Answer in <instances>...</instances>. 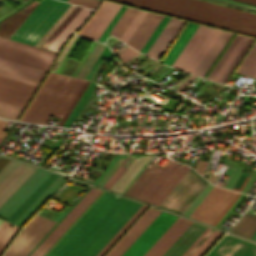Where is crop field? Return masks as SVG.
<instances>
[{
	"instance_id": "1",
	"label": "crop field",
	"mask_w": 256,
	"mask_h": 256,
	"mask_svg": "<svg viewBox=\"0 0 256 256\" xmlns=\"http://www.w3.org/2000/svg\"><path fill=\"white\" fill-rule=\"evenodd\" d=\"M124 200L104 192L46 256H74ZM140 206L126 199L75 256H96Z\"/></svg>"
},
{
	"instance_id": "2",
	"label": "crop field",
	"mask_w": 256,
	"mask_h": 256,
	"mask_svg": "<svg viewBox=\"0 0 256 256\" xmlns=\"http://www.w3.org/2000/svg\"><path fill=\"white\" fill-rule=\"evenodd\" d=\"M256 37V14L202 0H113Z\"/></svg>"
},
{
	"instance_id": "3",
	"label": "crop field",
	"mask_w": 256,
	"mask_h": 256,
	"mask_svg": "<svg viewBox=\"0 0 256 256\" xmlns=\"http://www.w3.org/2000/svg\"><path fill=\"white\" fill-rule=\"evenodd\" d=\"M84 80L49 72L21 121L45 124L49 115L62 117Z\"/></svg>"
},
{
	"instance_id": "4",
	"label": "crop field",
	"mask_w": 256,
	"mask_h": 256,
	"mask_svg": "<svg viewBox=\"0 0 256 256\" xmlns=\"http://www.w3.org/2000/svg\"><path fill=\"white\" fill-rule=\"evenodd\" d=\"M68 6L56 0H42L10 39L35 45Z\"/></svg>"
},
{
	"instance_id": "5",
	"label": "crop field",
	"mask_w": 256,
	"mask_h": 256,
	"mask_svg": "<svg viewBox=\"0 0 256 256\" xmlns=\"http://www.w3.org/2000/svg\"><path fill=\"white\" fill-rule=\"evenodd\" d=\"M221 30L199 25L172 67L193 73Z\"/></svg>"
},
{
	"instance_id": "6",
	"label": "crop field",
	"mask_w": 256,
	"mask_h": 256,
	"mask_svg": "<svg viewBox=\"0 0 256 256\" xmlns=\"http://www.w3.org/2000/svg\"><path fill=\"white\" fill-rule=\"evenodd\" d=\"M56 53L0 37V58L48 71Z\"/></svg>"
},
{
	"instance_id": "7",
	"label": "crop field",
	"mask_w": 256,
	"mask_h": 256,
	"mask_svg": "<svg viewBox=\"0 0 256 256\" xmlns=\"http://www.w3.org/2000/svg\"><path fill=\"white\" fill-rule=\"evenodd\" d=\"M207 183L190 168L160 206L182 214Z\"/></svg>"
},
{
	"instance_id": "8",
	"label": "crop field",
	"mask_w": 256,
	"mask_h": 256,
	"mask_svg": "<svg viewBox=\"0 0 256 256\" xmlns=\"http://www.w3.org/2000/svg\"><path fill=\"white\" fill-rule=\"evenodd\" d=\"M177 164V162L170 161L168 165L166 164L167 166L162 169L149 163L126 191L125 195L147 202Z\"/></svg>"
},
{
	"instance_id": "9",
	"label": "crop field",
	"mask_w": 256,
	"mask_h": 256,
	"mask_svg": "<svg viewBox=\"0 0 256 256\" xmlns=\"http://www.w3.org/2000/svg\"><path fill=\"white\" fill-rule=\"evenodd\" d=\"M56 222L37 215L20 233L4 256H27Z\"/></svg>"
},
{
	"instance_id": "10",
	"label": "crop field",
	"mask_w": 256,
	"mask_h": 256,
	"mask_svg": "<svg viewBox=\"0 0 256 256\" xmlns=\"http://www.w3.org/2000/svg\"><path fill=\"white\" fill-rule=\"evenodd\" d=\"M236 194L214 186L190 217L212 224Z\"/></svg>"
},
{
	"instance_id": "11",
	"label": "crop field",
	"mask_w": 256,
	"mask_h": 256,
	"mask_svg": "<svg viewBox=\"0 0 256 256\" xmlns=\"http://www.w3.org/2000/svg\"><path fill=\"white\" fill-rule=\"evenodd\" d=\"M177 216L162 212L123 256H142L162 233L173 223Z\"/></svg>"
},
{
	"instance_id": "12",
	"label": "crop field",
	"mask_w": 256,
	"mask_h": 256,
	"mask_svg": "<svg viewBox=\"0 0 256 256\" xmlns=\"http://www.w3.org/2000/svg\"><path fill=\"white\" fill-rule=\"evenodd\" d=\"M100 192L101 190L91 188L30 256H42Z\"/></svg>"
},
{
	"instance_id": "13",
	"label": "crop field",
	"mask_w": 256,
	"mask_h": 256,
	"mask_svg": "<svg viewBox=\"0 0 256 256\" xmlns=\"http://www.w3.org/2000/svg\"><path fill=\"white\" fill-rule=\"evenodd\" d=\"M49 175L37 168L0 207V215L7 219Z\"/></svg>"
},
{
	"instance_id": "14",
	"label": "crop field",
	"mask_w": 256,
	"mask_h": 256,
	"mask_svg": "<svg viewBox=\"0 0 256 256\" xmlns=\"http://www.w3.org/2000/svg\"><path fill=\"white\" fill-rule=\"evenodd\" d=\"M35 169L36 167L10 161L0 171V205Z\"/></svg>"
},
{
	"instance_id": "15",
	"label": "crop field",
	"mask_w": 256,
	"mask_h": 256,
	"mask_svg": "<svg viewBox=\"0 0 256 256\" xmlns=\"http://www.w3.org/2000/svg\"><path fill=\"white\" fill-rule=\"evenodd\" d=\"M160 213L149 207L105 256H122Z\"/></svg>"
},
{
	"instance_id": "16",
	"label": "crop field",
	"mask_w": 256,
	"mask_h": 256,
	"mask_svg": "<svg viewBox=\"0 0 256 256\" xmlns=\"http://www.w3.org/2000/svg\"><path fill=\"white\" fill-rule=\"evenodd\" d=\"M119 8L120 5L103 1L94 15L80 29L77 35L97 40Z\"/></svg>"
},
{
	"instance_id": "17",
	"label": "crop field",
	"mask_w": 256,
	"mask_h": 256,
	"mask_svg": "<svg viewBox=\"0 0 256 256\" xmlns=\"http://www.w3.org/2000/svg\"><path fill=\"white\" fill-rule=\"evenodd\" d=\"M36 86L0 76V100L24 107Z\"/></svg>"
},
{
	"instance_id": "18",
	"label": "crop field",
	"mask_w": 256,
	"mask_h": 256,
	"mask_svg": "<svg viewBox=\"0 0 256 256\" xmlns=\"http://www.w3.org/2000/svg\"><path fill=\"white\" fill-rule=\"evenodd\" d=\"M207 256H256V244L226 235Z\"/></svg>"
},
{
	"instance_id": "19",
	"label": "crop field",
	"mask_w": 256,
	"mask_h": 256,
	"mask_svg": "<svg viewBox=\"0 0 256 256\" xmlns=\"http://www.w3.org/2000/svg\"><path fill=\"white\" fill-rule=\"evenodd\" d=\"M46 71L0 59V75L38 85Z\"/></svg>"
},
{
	"instance_id": "20",
	"label": "crop field",
	"mask_w": 256,
	"mask_h": 256,
	"mask_svg": "<svg viewBox=\"0 0 256 256\" xmlns=\"http://www.w3.org/2000/svg\"><path fill=\"white\" fill-rule=\"evenodd\" d=\"M190 223L191 221L178 217L144 256H161Z\"/></svg>"
},
{
	"instance_id": "21",
	"label": "crop field",
	"mask_w": 256,
	"mask_h": 256,
	"mask_svg": "<svg viewBox=\"0 0 256 256\" xmlns=\"http://www.w3.org/2000/svg\"><path fill=\"white\" fill-rule=\"evenodd\" d=\"M162 17V15L147 12L132 36L127 41V44L140 51L141 47L146 42Z\"/></svg>"
},
{
	"instance_id": "22",
	"label": "crop field",
	"mask_w": 256,
	"mask_h": 256,
	"mask_svg": "<svg viewBox=\"0 0 256 256\" xmlns=\"http://www.w3.org/2000/svg\"><path fill=\"white\" fill-rule=\"evenodd\" d=\"M183 24L184 21L170 18L167 25L164 27L160 35L157 37V39L147 52V55L158 60V58L161 56L163 51L166 49L168 44L171 42V40L174 38V36Z\"/></svg>"
},
{
	"instance_id": "23",
	"label": "crop field",
	"mask_w": 256,
	"mask_h": 256,
	"mask_svg": "<svg viewBox=\"0 0 256 256\" xmlns=\"http://www.w3.org/2000/svg\"><path fill=\"white\" fill-rule=\"evenodd\" d=\"M205 228L202 225L192 222L162 256H181Z\"/></svg>"
},
{
	"instance_id": "24",
	"label": "crop field",
	"mask_w": 256,
	"mask_h": 256,
	"mask_svg": "<svg viewBox=\"0 0 256 256\" xmlns=\"http://www.w3.org/2000/svg\"><path fill=\"white\" fill-rule=\"evenodd\" d=\"M232 33L224 32L220 34L213 46L210 48L206 56L203 58L199 66L194 71V74L203 77L210 65L213 63L217 55L220 53L222 48L225 46Z\"/></svg>"
},
{
	"instance_id": "25",
	"label": "crop field",
	"mask_w": 256,
	"mask_h": 256,
	"mask_svg": "<svg viewBox=\"0 0 256 256\" xmlns=\"http://www.w3.org/2000/svg\"><path fill=\"white\" fill-rule=\"evenodd\" d=\"M189 167L183 165V167H177L176 170L171 174V176L166 180V182L161 186V188L156 192V194L151 198L148 203L159 206L160 203L165 199L169 192L174 188L178 181L183 177L187 172Z\"/></svg>"
},
{
	"instance_id": "26",
	"label": "crop field",
	"mask_w": 256,
	"mask_h": 256,
	"mask_svg": "<svg viewBox=\"0 0 256 256\" xmlns=\"http://www.w3.org/2000/svg\"><path fill=\"white\" fill-rule=\"evenodd\" d=\"M90 12L91 10L82 8L47 49L58 52L59 48L66 42V40L73 33V31L90 14Z\"/></svg>"
},
{
	"instance_id": "27",
	"label": "crop field",
	"mask_w": 256,
	"mask_h": 256,
	"mask_svg": "<svg viewBox=\"0 0 256 256\" xmlns=\"http://www.w3.org/2000/svg\"><path fill=\"white\" fill-rule=\"evenodd\" d=\"M65 180L66 179L58 176L48 186V188L25 210V212L14 222V224L21 226Z\"/></svg>"
},
{
	"instance_id": "28",
	"label": "crop field",
	"mask_w": 256,
	"mask_h": 256,
	"mask_svg": "<svg viewBox=\"0 0 256 256\" xmlns=\"http://www.w3.org/2000/svg\"><path fill=\"white\" fill-rule=\"evenodd\" d=\"M198 27L197 24H191L188 23L186 28L183 30L179 38L176 40L172 48L169 50L165 58L162 60V63H165L169 66L173 63V61L176 59L184 45L187 43L193 32Z\"/></svg>"
},
{
	"instance_id": "29",
	"label": "crop field",
	"mask_w": 256,
	"mask_h": 256,
	"mask_svg": "<svg viewBox=\"0 0 256 256\" xmlns=\"http://www.w3.org/2000/svg\"><path fill=\"white\" fill-rule=\"evenodd\" d=\"M256 231V216L246 213L232 229V232L251 238Z\"/></svg>"
},
{
	"instance_id": "30",
	"label": "crop field",
	"mask_w": 256,
	"mask_h": 256,
	"mask_svg": "<svg viewBox=\"0 0 256 256\" xmlns=\"http://www.w3.org/2000/svg\"><path fill=\"white\" fill-rule=\"evenodd\" d=\"M57 177L51 174L30 196L29 198L7 219L9 222H14L23 211L46 189V187Z\"/></svg>"
},
{
	"instance_id": "31",
	"label": "crop field",
	"mask_w": 256,
	"mask_h": 256,
	"mask_svg": "<svg viewBox=\"0 0 256 256\" xmlns=\"http://www.w3.org/2000/svg\"><path fill=\"white\" fill-rule=\"evenodd\" d=\"M28 15L19 11L0 23V35L9 38Z\"/></svg>"
},
{
	"instance_id": "32",
	"label": "crop field",
	"mask_w": 256,
	"mask_h": 256,
	"mask_svg": "<svg viewBox=\"0 0 256 256\" xmlns=\"http://www.w3.org/2000/svg\"><path fill=\"white\" fill-rule=\"evenodd\" d=\"M236 71L256 78V43L243 59Z\"/></svg>"
},
{
	"instance_id": "33",
	"label": "crop field",
	"mask_w": 256,
	"mask_h": 256,
	"mask_svg": "<svg viewBox=\"0 0 256 256\" xmlns=\"http://www.w3.org/2000/svg\"><path fill=\"white\" fill-rule=\"evenodd\" d=\"M138 12L137 9L127 7L126 11L123 13L121 18L115 24L113 29L110 31L109 34L113 35L114 37L118 38L124 32L128 24L131 22L135 14Z\"/></svg>"
},
{
	"instance_id": "34",
	"label": "crop field",
	"mask_w": 256,
	"mask_h": 256,
	"mask_svg": "<svg viewBox=\"0 0 256 256\" xmlns=\"http://www.w3.org/2000/svg\"><path fill=\"white\" fill-rule=\"evenodd\" d=\"M248 40V37H244L242 36V38L240 39V41L237 43V45L235 46V48L233 49V51L231 52V54L229 55V57L226 59V61L224 62V64L222 65V67L220 68V70L218 71V73L215 75V77L213 78V81H217L221 78V76L223 75V73L226 71V69L228 68V66L231 64V62L233 61V59L235 58V56L238 54V52L240 51V49L243 47V45L245 44V42Z\"/></svg>"
},
{
	"instance_id": "35",
	"label": "crop field",
	"mask_w": 256,
	"mask_h": 256,
	"mask_svg": "<svg viewBox=\"0 0 256 256\" xmlns=\"http://www.w3.org/2000/svg\"><path fill=\"white\" fill-rule=\"evenodd\" d=\"M80 9L81 7L76 6L73 11L64 19V21L55 29V31L47 38V40L41 45V48L46 49Z\"/></svg>"
},
{
	"instance_id": "36",
	"label": "crop field",
	"mask_w": 256,
	"mask_h": 256,
	"mask_svg": "<svg viewBox=\"0 0 256 256\" xmlns=\"http://www.w3.org/2000/svg\"><path fill=\"white\" fill-rule=\"evenodd\" d=\"M22 107L11 105L0 101V117L16 119Z\"/></svg>"
},
{
	"instance_id": "37",
	"label": "crop field",
	"mask_w": 256,
	"mask_h": 256,
	"mask_svg": "<svg viewBox=\"0 0 256 256\" xmlns=\"http://www.w3.org/2000/svg\"><path fill=\"white\" fill-rule=\"evenodd\" d=\"M146 208L142 205L138 211L129 219V221L119 230V232L109 241V243L100 251L97 256H101L113 243L114 241L127 229V227L140 215V213Z\"/></svg>"
},
{
	"instance_id": "38",
	"label": "crop field",
	"mask_w": 256,
	"mask_h": 256,
	"mask_svg": "<svg viewBox=\"0 0 256 256\" xmlns=\"http://www.w3.org/2000/svg\"><path fill=\"white\" fill-rule=\"evenodd\" d=\"M12 226V227H11ZM17 230V227L5 223L3 227L0 229V251L5 246V244L8 242V240L11 238V236L14 234V232Z\"/></svg>"
},
{
	"instance_id": "39",
	"label": "crop field",
	"mask_w": 256,
	"mask_h": 256,
	"mask_svg": "<svg viewBox=\"0 0 256 256\" xmlns=\"http://www.w3.org/2000/svg\"><path fill=\"white\" fill-rule=\"evenodd\" d=\"M145 14H146L145 11L139 10V12L134 17L130 25L127 27L123 35L120 37V40L126 43V41L130 37V35L133 33V31L135 30V28L137 27V25L139 24V22L141 21V19L144 17Z\"/></svg>"
},
{
	"instance_id": "40",
	"label": "crop field",
	"mask_w": 256,
	"mask_h": 256,
	"mask_svg": "<svg viewBox=\"0 0 256 256\" xmlns=\"http://www.w3.org/2000/svg\"><path fill=\"white\" fill-rule=\"evenodd\" d=\"M240 38H241V36L236 35V37L234 38V40L232 41L230 46L227 48V50L225 51V53L223 54V56L221 57V59L219 60L217 65L215 66V68L212 70V72L208 76L209 79L212 80V78L214 77L216 72L219 70V68L221 67V65L223 64L225 59L228 57V55L230 54V52L232 51V49L234 48V46L236 45V43L239 41Z\"/></svg>"
},
{
	"instance_id": "41",
	"label": "crop field",
	"mask_w": 256,
	"mask_h": 256,
	"mask_svg": "<svg viewBox=\"0 0 256 256\" xmlns=\"http://www.w3.org/2000/svg\"><path fill=\"white\" fill-rule=\"evenodd\" d=\"M169 20V17L164 16V18L162 19V21L159 23V25L157 26V28L155 29V31L152 33V35L150 36V38L148 39V41L146 42V44L143 46V48L141 49V52L146 53L147 50L149 49V47L152 45V43L154 42V40L156 39V37L159 35V33L161 32V30L163 29V27L165 26V24L167 23V21Z\"/></svg>"
},
{
	"instance_id": "42",
	"label": "crop field",
	"mask_w": 256,
	"mask_h": 256,
	"mask_svg": "<svg viewBox=\"0 0 256 256\" xmlns=\"http://www.w3.org/2000/svg\"><path fill=\"white\" fill-rule=\"evenodd\" d=\"M253 41L252 38H249V40L246 42V44L244 45V47L241 49V51L239 52V54L236 56V58L234 59V61L232 62V64L229 66V68L227 69V71L224 73V75L222 76V78L219 80L220 83H224V81L226 80V78L229 76V74L231 73V71L233 70V68L235 67V65L237 64V62L240 60V58L242 57V55L244 54V52L246 51V49L248 48V46L251 44V42ZM250 47V46H249Z\"/></svg>"
},
{
	"instance_id": "43",
	"label": "crop field",
	"mask_w": 256,
	"mask_h": 256,
	"mask_svg": "<svg viewBox=\"0 0 256 256\" xmlns=\"http://www.w3.org/2000/svg\"><path fill=\"white\" fill-rule=\"evenodd\" d=\"M213 186L207 184L206 187L201 191V193L196 197V199L190 204V206L185 210L183 215L189 216L191 212L196 208V206L201 202V200L206 196V194L211 190Z\"/></svg>"
},
{
	"instance_id": "44",
	"label": "crop field",
	"mask_w": 256,
	"mask_h": 256,
	"mask_svg": "<svg viewBox=\"0 0 256 256\" xmlns=\"http://www.w3.org/2000/svg\"><path fill=\"white\" fill-rule=\"evenodd\" d=\"M221 233L222 232L215 230L192 256H201Z\"/></svg>"
},
{
	"instance_id": "45",
	"label": "crop field",
	"mask_w": 256,
	"mask_h": 256,
	"mask_svg": "<svg viewBox=\"0 0 256 256\" xmlns=\"http://www.w3.org/2000/svg\"><path fill=\"white\" fill-rule=\"evenodd\" d=\"M126 9V7L122 6L120 8V10L117 12V14L115 15V17L112 19V21L110 22V24L108 25V27L105 29V31L103 32V34L100 36V38L98 39V41L103 42L108 36H109V31L112 29V27L114 26V24L116 23V21L119 19V17L121 16V14L123 13V11Z\"/></svg>"
},
{
	"instance_id": "46",
	"label": "crop field",
	"mask_w": 256,
	"mask_h": 256,
	"mask_svg": "<svg viewBox=\"0 0 256 256\" xmlns=\"http://www.w3.org/2000/svg\"><path fill=\"white\" fill-rule=\"evenodd\" d=\"M130 156H128L125 161L118 167V169L114 172V174L109 178V180L105 183L104 187L110 189L111 186L115 183V181L120 177V175L124 172L125 168L122 166L124 163L129 159Z\"/></svg>"
},
{
	"instance_id": "47",
	"label": "crop field",
	"mask_w": 256,
	"mask_h": 256,
	"mask_svg": "<svg viewBox=\"0 0 256 256\" xmlns=\"http://www.w3.org/2000/svg\"><path fill=\"white\" fill-rule=\"evenodd\" d=\"M111 54L109 48H107L105 46V48L103 49L102 53L100 54V56L98 57V59L96 60L95 64L93 65V67L91 68V70L89 71L88 75L86 76V79L90 80L91 76L93 75L94 71L96 70L97 66L99 65L100 61L103 58H107L109 55Z\"/></svg>"
},
{
	"instance_id": "48",
	"label": "crop field",
	"mask_w": 256,
	"mask_h": 256,
	"mask_svg": "<svg viewBox=\"0 0 256 256\" xmlns=\"http://www.w3.org/2000/svg\"><path fill=\"white\" fill-rule=\"evenodd\" d=\"M88 84H89V82L86 81V83L84 84V86L82 87V89L80 90V92L78 93V95L76 96V98L74 99V101L72 102V104L70 105V107L68 108L66 113L64 114V116L62 117V119L60 120V122L58 123L59 126H62V124L66 120L67 116L69 115V113L71 112L73 107L75 106L76 102L78 101V99L80 98V96L82 95V93L84 92V90Z\"/></svg>"
},
{
	"instance_id": "49",
	"label": "crop field",
	"mask_w": 256,
	"mask_h": 256,
	"mask_svg": "<svg viewBox=\"0 0 256 256\" xmlns=\"http://www.w3.org/2000/svg\"><path fill=\"white\" fill-rule=\"evenodd\" d=\"M243 169L236 167L234 172L232 173L231 177L229 178L228 182L226 183L225 187L232 189L233 185L237 181L238 177L242 173Z\"/></svg>"
},
{
	"instance_id": "50",
	"label": "crop field",
	"mask_w": 256,
	"mask_h": 256,
	"mask_svg": "<svg viewBox=\"0 0 256 256\" xmlns=\"http://www.w3.org/2000/svg\"><path fill=\"white\" fill-rule=\"evenodd\" d=\"M137 53L138 52L129 47L117 56L125 63Z\"/></svg>"
},
{
	"instance_id": "51",
	"label": "crop field",
	"mask_w": 256,
	"mask_h": 256,
	"mask_svg": "<svg viewBox=\"0 0 256 256\" xmlns=\"http://www.w3.org/2000/svg\"><path fill=\"white\" fill-rule=\"evenodd\" d=\"M68 2H72L89 8H94L98 0H68Z\"/></svg>"
},
{
	"instance_id": "52",
	"label": "crop field",
	"mask_w": 256,
	"mask_h": 256,
	"mask_svg": "<svg viewBox=\"0 0 256 256\" xmlns=\"http://www.w3.org/2000/svg\"><path fill=\"white\" fill-rule=\"evenodd\" d=\"M213 229H210L205 236L194 246V248L186 255V256H191L197 249L198 247L209 237V235L213 232Z\"/></svg>"
},
{
	"instance_id": "53",
	"label": "crop field",
	"mask_w": 256,
	"mask_h": 256,
	"mask_svg": "<svg viewBox=\"0 0 256 256\" xmlns=\"http://www.w3.org/2000/svg\"><path fill=\"white\" fill-rule=\"evenodd\" d=\"M89 189H90V188H88V189L86 190V192H87ZM86 192L75 202V204L66 212V214L58 221V223H59V222L67 215V213L77 204V202L86 194ZM58 223L52 228V230L58 225ZM52 230H51V231H52ZM51 231H50V232H51ZM50 232H49V233H50ZM49 233H48V234H49ZM48 234L41 240V242L48 236ZM41 242H40V243H41ZM40 243H39V244H40ZM39 244L30 252V254L39 246ZM30 254H29V255H30ZM29 255H28V256H29Z\"/></svg>"
},
{
	"instance_id": "54",
	"label": "crop field",
	"mask_w": 256,
	"mask_h": 256,
	"mask_svg": "<svg viewBox=\"0 0 256 256\" xmlns=\"http://www.w3.org/2000/svg\"><path fill=\"white\" fill-rule=\"evenodd\" d=\"M207 162L205 161H200L199 159L197 160L195 169L202 175L205 169Z\"/></svg>"
},
{
	"instance_id": "55",
	"label": "crop field",
	"mask_w": 256,
	"mask_h": 256,
	"mask_svg": "<svg viewBox=\"0 0 256 256\" xmlns=\"http://www.w3.org/2000/svg\"><path fill=\"white\" fill-rule=\"evenodd\" d=\"M210 228H206L203 233L193 242V244L184 252L182 256H185L192 248L193 246L204 236V234L209 230Z\"/></svg>"
},
{
	"instance_id": "56",
	"label": "crop field",
	"mask_w": 256,
	"mask_h": 256,
	"mask_svg": "<svg viewBox=\"0 0 256 256\" xmlns=\"http://www.w3.org/2000/svg\"><path fill=\"white\" fill-rule=\"evenodd\" d=\"M256 178V170L255 172L253 173L252 177L250 178V180L248 181L247 185L245 186L243 192L244 193H247V191L249 190L250 186L252 185V183L254 182Z\"/></svg>"
},
{
	"instance_id": "57",
	"label": "crop field",
	"mask_w": 256,
	"mask_h": 256,
	"mask_svg": "<svg viewBox=\"0 0 256 256\" xmlns=\"http://www.w3.org/2000/svg\"><path fill=\"white\" fill-rule=\"evenodd\" d=\"M8 124V121L0 120V137L4 138L6 135L5 132H2L5 126Z\"/></svg>"
},
{
	"instance_id": "58",
	"label": "crop field",
	"mask_w": 256,
	"mask_h": 256,
	"mask_svg": "<svg viewBox=\"0 0 256 256\" xmlns=\"http://www.w3.org/2000/svg\"><path fill=\"white\" fill-rule=\"evenodd\" d=\"M39 2H37L36 0L33 1L31 4L27 5L26 7H24L23 11L29 13Z\"/></svg>"
},
{
	"instance_id": "59",
	"label": "crop field",
	"mask_w": 256,
	"mask_h": 256,
	"mask_svg": "<svg viewBox=\"0 0 256 256\" xmlns=\"http://www.w3.org/2000/svg\"><path fill=\"white\" fill-rule=\"evenodd\" d=\"M92 84V82H90V84L88 85V87L86 88L85 92L83 93V95L81 96V98L79 99V101L77 102L76 106L74 107V109L72 110V112L70 113V115L68 116L67 120L65 121V123L63 124V126H65V124L67 123V121L69 120L70 116L72 115V113L74 112V110L76 109V107L78 106L79 102L81 101V99L83 98V96L85 95V93L87 92L88 88L90 87V85Z\"/></svg>"
},
{
	"instance_id": "60",
	"label": "crop field",
	"mask_w": 256,
	"mask_h": 256,
	"mask_svg": "<svg viewBox=\"0 0 256 256\" xmlns=\"http://www.w3.org/2000/svg\"><path fill=\"white\" fill-rule=\"evenodd\" d=\"M195 78V76H191L189 79H187L181 86H179L176 90H178L179 92L185 87L187 86L193 79Z\"/></svg>"
},
{
	"instance_id": "61",
	"label": "crop field",
	"mask_w": 256,
	"mask_h": 256,
	"mask_svg": "<svg viewBox=\"0 0 256 256\" xmlns=\"http://www.w3.org/2000/svg\"><path fill=\"white\" fill-rule=\"evenodd\" d=\"M9 162V160H5L0 158V170Z\"/></svg>"
},
{
	"instance_id": "62",
	"label": "crop field",
	"mask_w": 256,
	"mask_h": 256,
	"mask_svg": "<svg viewBox=\"0 0 256 256\" xmlns=\"http://www.w3.org/2000/svg\"><path fill=\"white\" fill-rule=\"evenodd\" d=\"M239 1H243V2H246V3H250V4L256 5V0H239Z\"/></svg>"
},
{
	"instance_id": "63",
	"label": "crop field",
	"mask_w": 256,
	"mask_h": 256,
	"mask_svg": "<svg viewBox=\"0 0 256 256\" xmlns=\"http://www.w3.org/2000/svg\"><path fill=\"white\" fill-rule=\"evenodd\" d=\"M255 238H256V232H255V234L252 236V239L255 240Z\"/></svg>"
},
{
	"instance_id": "64",
	"label": "crop field",
	"mask_w": 256,
	"mask_h": 256,
	"mask_svg": "<svg viewBox=\"0 0 256 256\" xmlns=\"http://www.w3.org/2000/svg\"><path fill=\"white\" fill-rule=\"evenodd\" d=\"M6 223V222H5ZM4 224V221H2V223L0 224V228H1V226ZM3 227V226H2Z\"/></svg>"
},
{
	"instance_id": "65",
	"label": "crop field",
	"mask_w": 256,
	"mask_h": 256,
	"mask_svg": "<svg viewBox=\"0 0 256 256\" xmlns=\"http://www.w3.org/2000/svg\"><path fill=\"white\" fill-rule=\"evenodd\" d=\"M2 138H0V142H1Z\"/></svg>"
},
{
	"instance_id": "66",
	"label": "crop field",
	"mask_w": 256,
	"mask_h": 256,
	"mask_svg": "<svg viewBox=\"0 0 256 256\" xmlns=\"http://www.w3.org/2000/svg\"><path fill=\"white\" fill-rule=\"evenodd\" d=\"M64 1H67V0H64Z\"/></svg>"
},
{
	"instance_id": "67",
	"label": "crop field",
	"mask_w": 256,
	"mask_h": 256,
	"mask_svg": "<svg viewBox=\"0 0 256 256\" xmlns=\"http://www.w3.org/2000/svg\"><path fill=\"white\" fill-rule=\"evenodd\" d=\"M0 223H1V220H0Z\"/></svg>"
}]
</instances>
